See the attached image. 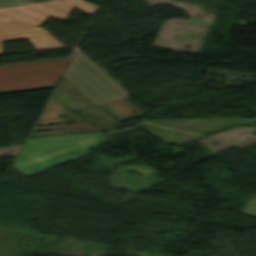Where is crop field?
I'll return each instance as SVG.
<instances>
[{"label":"crop field","mask_w":256,"mask_h":256,"mask_svg":"<svg viewBox=\"0 0 256 256\" xmlns=\"http://www.w3.org/2000/svg\"><path fill=\"white\" fill-rule=\"evenodd\" d=\"M93 13L94 7L78 0H63L50 3L22 6L0 10L1 41L28 37L36 50L65 47L40 27L49 15L65 20L74 8ZM25 29V30H22Z\"/></svg>","instance_id":"8a807250"},{"label":"crop field","mask_w":256,"mask_h":256,"mask_svg":"<svg viewBox=\"0 0 256 256\" xmlns=\"http://www.w3.org/2000/svg\"><path fill=\"white\" fill-rule=\"evenodd\" d=\"M108 138L102 132L26 138L13 167L28 176L87 155Z\"/></svg>","instance_id":"ac0d7876"},{"label":"crop field","mask_w":256,"mask_h":256,"mask_svg":"<svg viewBox=\"0 0 256 256\" xmlns=\"http://www.w3.org/2000/svg\"><path fill=\"white\" fill-rule=\"evenodd\" d=\"M62 77L95 105L129 96L78 48Z\"/></svg>","instance_id":"34b2d1b8"},{"label":"crop field","mask_w":256,"mask_h":256,"mask_svg":"<svg viewBox=\"0 0 256 256\" xmlns=\"http://www.w3.org/2000/svg\"><path fill=\"white\" fill-rule=\"evenodd\" d=\"M69 60L0 66V93L55 87Z\"/></svg>","instance_id":"412701ff"},{"label":"crop field","mask_w":256,"mask_h":256,"mask_svg":"<svg viewBox=\"0 0 256 256\" xmlns=\"http://www.w3.org/2000/svg\"><path fill=\"white\" fill-rule=\"evenodd\" d=\"M242 213L256 216V198L251 200L242 210Z\"/></svg>","instance_id":"f4fd0767"},{"label":"crop field","mask_w":256,"mask_h":256,"mask_svg":"<svg viewBox=\"0 0 256 256\" xmlns=\"http://www.w3.org/2000/svg\"><path fill=\"white\" fill-rule=\"evenodd\" d=\"M22 0H0V7L23 4Z\"/></svg>","instance_id":"dd49c442"}]
</instances>
